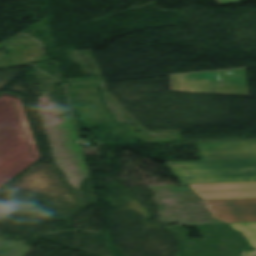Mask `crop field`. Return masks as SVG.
Returning a JSON list of instances; mask_svg holds the SVG:
<instances>
[{"label":"crop field","mask_w":256,"mask_h":256,"mask_svg":"<svg viewBox=\"0 0 256 256\" xmlns=\"http://www.w3.org/2000/svg\"><path fill=\"white\" fill-rule=\"evenodd\" d=\"M209 207L215 210L216 219L226 223L256 221V198L213 200Z\"/></svg>","instance_id":"crop-field-3"},{"label":"crop field","mask_w":256,"mask_h":256,"mask_svg":"<svg viewBox=\"0 0 256 256\" xmlns=\"http://www.w3.org/2000/svg\"><path fill=\"white\" fill-rule=\"evenodd\" d=\"M239 0H220L221 3H227V2H235Z\"/></svg>","instance_id":"crop-field-6"},{"label":"crop field","mask_w":256,"mask_h":256,"mask_svg":"<svg viewBox=\"0 0 256 256\" xmlns=\"http://www.w3.org/2000/svg\"><path fill=\"white\" fill-rule=\"evenodd\" d=\"M232 228L241 231L253 247L256 248V222L229 224ZM243 256H256V251H249Z\"/></svg>","instance_id":"crop-field-5"},{"label":"crop field","mask_w":256,"mask_h":256,"mask_svg":"<svg viewBox=\"0 0 256 256\" xmlns=\"http://www.w3.org/2000/svg\"><path fill=\"white\" fill-rule=\"evenodd\" d=\"M203 200L255 198L256 182L190 185Z\"/></svg>","instance_id":"crop-field-4"},{"label":"crop field","mask_w":256,"mask_h":256,"mask_svg":"<svg viewBox=\"0 0 256 256\" xmlns=\"http://www.w3.org/2000/svg\"><path fill=\"white\" fill-rule=\"evenodd\" d=\"M182 184L256 181V159L167 163Z\"/></svg>","instance_id":"crop-field-1"},{"label":"crop field","mask_w":256,"mask_h":256,"mask_svg":"<svg viewBox=\"0 0 256 256\" xmlns=\"http://www.w3.org/2000/svg\"><path fill=\"white\" fill-rule=\"evenodd\" d=\"M201 160L256 158V139L197 142Z\"/></svg>","instance_id":"crop-field-2"}]
</instances>
